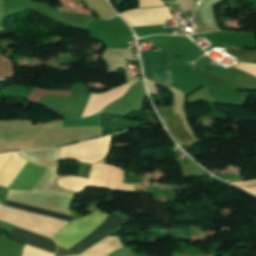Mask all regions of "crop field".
Segmentation results:
<instances>
[{
    "label": "crop field",
    "instance_id": "obj_2",
    "mask_svg": "<svg viewBox=\"0 0 256 256\" xmlns=\"http://www.w3.org/2000/svg\"><path fill=\"white\" fill-rule=\"evenodd\" d=\"M145 78L161 86L173 84L168 51L141 52Z\"/></svg>",
    "mask_w": 256,
    "mask_h": 256
},
{
    "label": "crop field",
    "instance_id": "obj_3",
    "mask_svg": "<svg viewBox=\"0 0 256 256\" xmlns=\"http://www.w3.org/2000/svg\"><path fill=\"white\" fill-rule=\"evenodd\" d=\"M125 220L111 214L108 219L104 223H102L90 236H88L85 240L71 248L69 251L76 254L84 252L85 250L93 246L96 242L104 239L112 232H114L125 222Z\"/></svg>",
    "mask_w": 256,
    "mask_h": 256
},
{
    "label": "crop field",
    "instance_id": "obj_12",
    "mask_svg": "<svg viewBox=\"0 0 256 256\" xmlns=\"http://www.w3.org/2000/svg\"><path fill=\"white\" fill-rule=\"evenodd\" d=\"M134 81L140 79V77H133Z\"/></svg>",
    "mask_w": 256,
    "mask_h": 256
},
{
    "label": "crop field",
    "instance_id": "obj_4",
    "mask_svg": "<svg viewBox=\"0 0 256 256\" xmlns=\"http://www.w3.org/2000/svg\"><path fill=\"white\" fill-rule=\"evenodd\" d=\"M160 112L165 120L167 128L174 137L178 145L193 143L194 140L186 131L178 114H175L172 106L159 107Z\"/></svg>",
    "mask_w": 256,
    "mask_h": 256
},
{
    "label": "crop field",
    "instance_id": "obj_9",
    "mask_svg": "<svg viewBox=\"0 0 256 256\" xmlns=\"http://www.w3.org/2000/svg\"><path fill=\"white\" fill-rule=\"evenodd\" d=\"M223 50L227 51L231 55L241 59V60H247V61H255L256 60V52H245L233 47H227L223 48Z\"/></svg>",
    "mask_w": 256,
    "mask_h": 256
},
{
    "label": "crop field",
    "instance_id": "obj_7",
    "mask_svg": "<svg viewBox=\"0 0 256 256\" xmlns=\"http://www.w3.org/2000/svg\"><path fill=\"white\" fill-rule=\"evenodd\" d=\"M4 205L22 209V210H26V211H30V212H34V213H38V214H42V215H46V216H50V217H54V218H58V219H62V220H67V221H70L73 218V216L53 212L50 210L30 206L27 204L11 201V200H7V199L5 200Z\"/></svg>",
    "mask_w": 256,
    "mask_h": 256
},
{
    "label": "crop field",
    "instance_id": "obj_11",
    "mask_svg": "<svg viewBox=\"0 0 256 256\" xmlns=\"http://www.w3.org/2000/svg\"><path fill=\"white\" fill-rule=\"evenodd\" d=\"M56 256H74V254H72L66 250H63L61 248H58V253Z\"/></svg>",
    "mask_w": 256,
    "mask_h": 256
},
{
    "label": "crop field",
    "instance_id": "obj_10",
    "mask_svg": "<svg viewBox=\"0 0 256 256\" xmlns=\"http://www.w3.org/2000/svg\"><path fill=\"white\" fill-rule=\"evenodd\" d=\"M90 168V164L80 163L76 176L88 178Z\"/></svg>",
    "mask_w": 256,
    "mask_h": 256
},
{
    "label": "crop field",
    "instance_id": "obj_13",
    "mask_svg": "<svg viewBox=\"0 0 256 256\" xmlns=\"http://www.w3.org/2000/svg\"><path fill=\"white\" fill-rule=\"evenodd\" d=\"M239 64H240V63H239ZM239 64H238V65H239ZM237 67H238V66H237Z\"/></svg>",
    "mask_w": 256,
    "mask_h": 256
},
{
    "label": "crop field",
    "instance_id": "obj_6",
    "mask_svg": "<svg viewBox=\"0 0 256 256\" xmlns=\"http://www.w3.org/2000/svg\"><path fill=\"white\" fill-rule=\"evenodd\" d=\"M45 171L46 168L27 162L10 188L19 190H32Z\"/></svg>",
    "mask_w": 256,
    "mask_h": 256
},
{
    "label": "crop field",
    "instance_id": "obj_5",
    "mask_svg": "<svg viewBox=\"0 0 256 256\" xmlns=\"http://www.w3.org/2000/svg\"><path fill=\"white\" fill-rule=\"evenodd\" d=\"M6 231L11 233L14 239L18 242H22L27 245H30L54 254L56 252L57 246L55 242L49 238L17 228L12 225H10Z\"/></svg>",
    "mask_w": 256,
    "mask_h": 256
},
{
    "label": "crop field",
    "instance_id": "obj_1",
    "mask_svg": "<svg viewBox=\"0 0 256 256\" xmlns=\"http://www.w3.org/2000/svg\"><path fill=\"white\" fill-rule=\"evenodd\" d=\"M108 216V213L97 209L80 220H74L69 223L53 236V239L57 242L58 246L68 250L89 235L104 222Z\"/></svg>",
    "mask_w": 256,
    "mask_h": 256
},
{
    "label": "crop field",
    "instance_id": "obj_8",
    "mask_svg": "<svg viewBox=\"0 0 256 256\" xmlns=\"http://www.w3.org/2000/svg\"><path fill=\"white\" fill-rule=\"evenodd\" d=\"M82 126H102L101 112L88 118L64 121L62 127H82Z\"/></svg>",
    "mask_w": 256,
    "mask_h": 256
}]
</instances>
